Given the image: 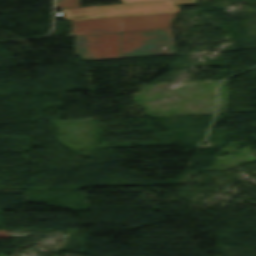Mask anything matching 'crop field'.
<instances>
[{"label":"crop field","mask_w":256,"mask_h":256,"mask_svg":"<svg viewBox=\"0 0 256 256\" xmlns=\"http://www.w3.org/2000/svg\"><path fill=\"white\" fill-rule=\"evenodd\" d=\"M119 33L75 36L83 60L118 58ZM175 54L170 29L122 32L120 58Z\"/></svg>","instance_id":"1"},{"label":"crop field","mask_w":256,"mask_h":256,"mask_svg":"<svg viewBox=\"0 0 256 256\" xmlns=\"http://www.w3.org/2000/svg\"><path fill=\"white\" fill-rule=\"evenodd\" d=\"M198 0H165L63 9L66 21L179 12L180 5L197 4Z\"/></svg>","instance_id":"2"},{"label":"crop field","mask_w":256,"mask_h":256,"mask_svg":"<svg viewBox=\"0 0 256 256\" xmlns=\"http://www.w3.org/2000/svg\"><path fill=\"white\" fill-rule=\"evenodd\" d=\"M176 14H158L71 22L72 35L170 28Z\"/></svg>","instance_id":"3"},{"label":"crop field","mask_w":256,"mask_h":256,"mask_svg":"<svg viewBox=\"0 0 256 256\" xmlns=\"http://www.w3.org/2000/svg\"><path fill=\"white\" fill-rule=\"evenodd\" d=\"M80 7L79 0H57L56 9Z\"/></svg>","instance_id":"4"},{"label":"crop field","mask_w":256,"mask_h":256,"mask_svg":"<svg viewBox=\"0 0 256 256\" xmlns=\"http://www.w3.org/2000/svg\"><path fill=\"white\" fill-rule=\"evenodd\" d=\"M124 3L141 2V1H153V0H122Z\"/></svg>","instance_id":"5"}]
</instances>
